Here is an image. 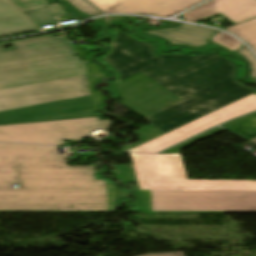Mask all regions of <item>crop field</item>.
I'll use <instances>...</instances> for the list:
<instances>
[{
  "instance_id": "13",
  "label": "crop field",
  "mask_w": 256,
  "mask_h": 256,
  "mask_svg": "<svg viewBox=\"0 0 256 256\" xmlns=\"http://www.w3.org/2000/svg\"><path fill=\"white\" fill-rule=\"evenodd\" d=\"M248 42L256 52V19L224 29Z\"/></svg>"
},
{
  "instance_id": "5",
  "label": "crop field",
  "mask_w": 256,
  "mask_h": 256,
  "mask_svg": "<svg viewBox=\"0 0 256 256\" xmlns=\"http://www.w3.org/2000/svg\"><path fill=\"white\" fill-rule=\"evenodd\" d=\"M255 110L256 94L252 93L166 134L148 125L133 132L139 135V141L123 149L128 151L156 153L215 125Z\"/></svg>"
},
{
  "instance_id": "8",
  "label": "crop field",
  "mask_w": 256,
  "mask_h": 256,
  "mask_svg": "<svg viewBox=\"0 0 256 256\" xmlns=\"http://www.w3.org/2000/svg\"><path fill=\"white\" fill-rule=\"evenodd\" d=\"M221 13L237 24L256 17V0H211L183 14L194 22Z\"/></svg>"
},
{
  "instance_id": "22",
  "label": "crop field",
  "mask_w": 256,
  "mask_h": 256,
  "mask_svg": "<svg viewBox=\"0 0 256 256\" xmlns=\"http://www.w3.org/2000/svg\"><path fill=\"white\" fill-rule=\"evenodd\" d=\"M256 93V92H255Z\"/></svg>"
},
{
  "instance_id": "17",
  "label": "crop field",
  "mask_w": 256,
  "mask_h": 256,
  "mask_svg": "<svg viewBox=\"0 0 256 256\" xmlns=\"http://www.w3.org/2000/svg\"><path fill=\"white\" fill-rule=\"evenodd\" d=\"M236 51L242 56H244V58L248 61L250 65V76L256 79V58L244 46Z\"/></svg>"
},
{
  "instance_id": "21",
  "label": "crop field",
  "mask_w": 256,
  "mask_h": 256,
  "mask_svg": "<svg viewBox=\"0 0 256 256\" xmlns=\"http://www.w3.org/2000/svg\"><path fill=\"white\" fill-rule=\"evenodd\" d=\"M250 141H252V142L256 143V138H254V139H252V140H250Z\"/></svg>"
},
{
  "instance_id": "16",
  "label": "crop field",
  "mask_w": 256,
  "mask_h": 256,
  "mask_svg": "<svg viewBox=\"0 0 256 256\" xmlns=\"http://www.w3.org/2000/svg\"><path fill=\"white\" fill-rule=\"evenodd\" d=\"M66 1H68L70 4H72L73 7H77L83 13H87V14H90L93 16L103 14V13L99 12L98 10H96L94 7H92L90 4H88L84 0H66Z\"/></svg>"
},
{
  "instance_id": "18",
  "label": "crop field",
  "mask_w": 256,
  "mask_h": 256,
  "mask_svg": "<svg viewBox=\"0 0 256 256\" xmlns=\"http://www.w3.org/2000/svg\"><path fill=\"white\" fill-rule=\"evenodd\" d=\"M122 182H135L132 164L118 165Z\"/></svg>"
},
{
  "instance_id": "9",
  "label": "crop field",
  "mask_w": 256,
  "mask_h": 256,
  "mask_svg": "<svg viewBox=\"0 0 256 256\" xmlns=\"http://www.w3.org/2000/svg\"><path fill=\"white\" fill-rule=\"evenodd\" d=\"M216 30L180 25L177 28L148 31V33L159 35L173 44H187L191 46H203L207 39L214 35Z\"/></svg>"
},
{
  "instance_id": "12",
  "label": "crop field",
  "mask_w": 256,
  "mask_h": 256,
  "mask_svg": "<svg viewBox=\"0 0 256 256\" xmlns=\"http://www.w3.org/2000/svg\"><path fill=\"white\" fill-rule=\"evenodd\" d=\"M135 195V201L131 203L136 207L135 213H147V212H171V213H244V212H192V211H151L150 190L139 191L137 190Z\"/></svg>"
},
{
  "instance_id": "20",
  "label": "crop field",
  "mask_w": 256,
  "mask_h": 256,
  "mask_svg": "<svg viewBox=\"0 0 256 256\" xmlns=\"http://www.w3.org/2000/svg\"><path fill=\"white\" fill-rule=\"evenodd\" d=\"M142 256H183V253L182 252L161 253V254L142 255Z\"/></svg>"
},
{
  "instance_id": "6",
  "label": "crop field",
  "mask_w": 256,
  "mask_h": 256,
  "mask_svg": "<svg viewBox=\"0 0 256 256\" xmlns=\"http://www.w3.org/2000/svg\"><path fill=\"white\" fill-rule=\"evenodd\" d=\"M110 120L98 117L3 125L0 126V141L65 144L63 139H79L97 129L110 128Z\"/></svg>"
},
{
  "instance_id": "2",
  "label": "crop field",
  "mask_w": 256,
  "mask_h": 256,
  "mask_svg": "<svg viewBox=\"0 0 256 256\" xmlns=\"http://www.w3.org/2000/svg\"><path fill=\"white\" fill-rule=\"evenodd\" d=\"M75 48L86 65L55 34L0 44V125L96 116L92 86L106 74Z\"/></svg>"
},
{
  "instance_id": "3",
  "label": "crop field",
  "mask_w": 256,
  "mask_h": 256,
  "mask_svg": "<svg viewBox=\"0 0 256 256\" xmlns=\"http://www.w3.org/2000/svg\"><path fill=\"white\" fill-rule=\"evenodd\" d=\"M65 165L56 146L0 143V210H108L103 180H95L93 166Z\"/></svg>"
},
{
  "instance_id": "10",
  "label": "crop field",
  "mask_w": 256,
  "mask_h": 256,
  "mask_svg": "<svg viewBox=\"0 0 256 256\" xmlns=\"http://www.w3.org/2000/svg\"><path fill=\"white\" fill-rule=\"evenodd\" d=\"M38 30L12 3L0 0V36Z\"/></svg>"
},
{
  "instance_id": "15",
  "label": "crop field",
  "mask_w": 256,
  "mask_h": 256,
  "mask_svg": "<svg viewBox=\"0 0 256 256\" xmlns=\"http://www.w3.org/2000/svg\"><path fill=\"white\" fill-rule=\"evenodd\" d=\"M212 41L230 49V50H236L239 47L243 46L238 40L233 38L232 36L224 33V32H219L217 35H215L212 38Z\"/></svg>"
},
{
  "instance_id": "4",
  "label": "crop field",
  "mask_w": 256,
  "mask_h": 256,
  "mask_svg": "<svg viewBox=\"0 0 256 256\" xmlns=\"http://www.w3.org/2000/svg\"><path fill=\"white\" fill-rule=\"evenodd\" d=\"M220 130L161 154L131 153L140 190L151 189L152 210L256 211V181L186 178L179 150Z\"/></svg>"
},
{
  "instance_id": "19",
  "label": "crop field",
  "mask_w": 256,
  "mask_h": 256,
  "mask_svg": "<svg viewBox=\"0 0 256 256\" xmlns=\"http://www.w3.org/2000/svg\"><path fill=\"white\" fill-rule=\"evenodd\" d=\"M256 117V112L253 113V114H250L248 116H245L243 118H240V119H237V120H234V121H231V122H228L224 125H222L223 128H226V127H229V126H233L239 122H242V121H245V120H248V119H252V118H255Z\"/></svg>"
},
{
  "instance_id": "11",
  "label": "crop field",
  "mask_w": 256,
  "mask_h": 256,
  "mask_svg": "<svg viewBox=\"0 0 256 256\" xmlns=\"http://www.w3.org/2000/svg\"><path fill=\"white\" fill-rule=\"evenodd\" d=\"M23 13L28 12V17L37 25H46L55 23L54 16L65 14L66 12L60 5L52 3L46 6V0H12Z\"/></svg>"
},
{
  "instance_id": "7",
  "label": "crop field",
  "mask_w": 256,
  "mask_h": 256,
  "mask_svg": "<svg viewBox=\"0 0 256 256\" xmlns=\"http://www.w3.org/2000/svg\"><path fill=\"white\" fill-rule=\"evenodd\" d=\"M104 13L174 15L203 0H88Z\"/></svg>"
},
{
  "instance_id": "1",
  "label": "crop field",
  "mask_w": 256,
  "mask_h": 256,
  "mask_svg": "<svg viewBox=\"0 0 256 256\" xmlns=\"http://www.w3.org/2000/svg\"><path fill=\"white\" fill-rule=\"evenodd\" d=\"M103 57L119 72L125 107L166 133L256 90L234 79L236 67L215 54L154 56L152 45L120 31Z\"/></svg>"
},
{
  "instance_id": "14",
  "label": "crop field",
  "mask_w": 256,
  "mask_h": 256,
  "mask_svg": "<svg viewBox=\"0 0 256 256\" xmlns=\"http://www.w3.org/2000/svg\"><path fill=\"white\" fill-rule=\"evenodd\" d=\"M107 186L108 193V205L109 211H0V212H115L118 207V203L129 196L128 192L117 190V187L113 184L107 183L104 179Z\"/></svg>"
}]
</instances>
